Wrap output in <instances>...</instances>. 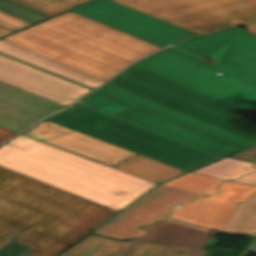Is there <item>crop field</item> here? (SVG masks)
<instances>
[{
  "mask_svg": "<svg viewBox=\"0 0 256 256\" xmlns=\"http://www.w3.org/2000/svg\"><path fill=\"white\" fill-rule=\"evenodd\" d=\"M113 168L159 183L184 171L137 155Z\"/></svg>",
  "mask_w": 256,
  "mask_h": 256,
  "instance_id": "crop-field-21",
  "label": "crop field"
},
{
  "mask_svg": "<svg viewBox=\"0 0 256 256\" xmlns=\"http://www.w3.org/2000/svg\"><path fill=\"white\" fill-rule=\"evenodd\" d=\"M200 195L203 194L158 185L94 232L116 239L144 235L146 231L138 230L137 226L162 220L166 214L170 213L169 207L173 204L189 201Z\"/></svg>",
  "mask_w": 256,
  "mask_h": 256,
  "instance_id": "crop-field-11",
  "label": "crop field"
},
{
  "mask_svg": "<svg viewBox=\"0 0 256 256\" xmlns=\"http://www.w3.org/2000/svg\"><path fill=\"white\" fill-rule=\"evenodd\" d=\"M222 180L223 179L189 172L181 177L167 181L163 183V185L210 195L216 192L215 188L221 184Z\"/></svg>",
  "mask_w": 256,
  "mask_h": 256,
  "instance_id": "crop-field-24",
  "label": "crop field"
},
{
  "mask_svg": "<svg viewBox=\"0 0 256 256\" xmlns=\"http://www.w3.org/2000/svg\"><path fill=\"white\" fill-rule=\"evenodd\" d=\"M208 248L115 241L91 234L60 256H204Z\"/></svg>",
  "mask_w": 256,
  "mask_h": 256,
  "instance_id": "crop-field-15",
  "label": "crop field"
},
{
  "mask_svg": "<svg viewBox=\"0 0 256 256\" xmlns=\"http://www.w3.org/2000/svg\"><path fill=\"white\" fill-rule=\"evenodd\" d=\"M0 106L13 110L15 112L30 116L32 118L40 120L44 116L48 115L46 113L40 112L38 110H35L33 108L27 107L25 105H22L20 103L14 102L12 100H9L7 98L0 96Z\"/></svg>",
  "mask_w": 256,
  "mask_h": 256,
  "instance_id": "crop-field-28",
  "label": "crop field"
},
{
  "mask_svg": "<svg viewBox=\"0 0 256 256\" xmlns=\"http://www.w3.org/2000/svg\"><path fill=\"white\" fill-rule=\"evenodd\" d=\"M0 81L64 106L91 89L0 55Z\"/></svg>",
  "mask_w": 256,
  "mask_h": 256,
  "instance_id": "crop-field-13",
  "label": "crop field"
},
{
  "mask_svg": "<svg viewBox=\"0 0 256 256\" xmlns=\"http://www.w3.org/2000/svg\"><path fill=\"white\" fill-rule=\"evenodd\" d=\"M21 134L99 161L111 167L137 155L46 120Z\"/></svg>",
  "mask_w": 256,
  "mask_h": 256,
  "instance_id": "crop-field-14",
  "label": "crop field"
},
{
  "mask_svg": "<svg viewBox=\"0 0 256 256\" xmlns=\"http://www.w3.org/2000/svg\"><path fill=\"white\" fill-rule=\"evenodd\" d=\"M139 228L149 230V234L142 238H129L127 240L205 247L211 236L208 229L169 218L163 222H155L152 225Z\"/></svg>",
  "mask_w": 256,
  "mask_h": 256,
  "instance_id": "crop-field-17",
  "label": "crop field"
},
{
  "mask_svg": "<svg viewBox=\"0 0 256 256\" xmlns=\"http://www.w3.org/2000/svg\"><path fill=\"white\" fill-rule=\"evenodd\" d=\"M230 156L256 162V144Z\"/></svg>",
  "mask_w": 256,
  "mask_h": 256,
  "instance_id": "crop-field-31",
  "label": "crop field"
},
{
  "mask_svg": "<svg viewBox=\"0 0 256 256\" xmlns=\"http://www.w3.org/2000/svg\"><path fill=\"white\" fill-rule=\"evenodd\" d=\"M196 34L256 19V0H113Z\"/></svg>",
  "mask_w": 256,
  "mask_h": 256,
  "instance_id": "crop-field-5",
  "label": "crop field"
},
{
  "mask_svg": "<svg viewBox=\"0 0 256 256\" xmlns=\"http://www.w3.org/2000/svg\"><path fill=\"white\" fill-rule=\"evenodd\" d=\"M172 46L213 62L204 63L173 47L165 49L256 85V36L244 29L235 27L183 40Z\"/></svg>",
  "mask_w": 256,
  "mask_h": 256,
  "instance_id": "crop-field-7",
  "label": "crop field"
},
{
  "mask_svg": "<svg viewBox=\"0 0 256 256\" xmlns=\"http://www.w3.org/2000/svg\"><path fill=\"white\" fill-rule=\"evenodd\" d=\"M98 91L115 96L117 98L123 99L128 102H131L135 105L151 110L153 112H156L168 118L174 119L176 121H179L191 127L197 128L199 130H202L204 132H207L209 134H212L214 136L227 140L236 145L247 147L252 144H255L250 140H247L245 138H242L240 136L227 132L223 129H220L218 127H215L213 125L200 121L198 119H195L183 113H180L176 110H173L171 108H168L166 106H163L151 100H148L146 98L133 94L129 91H126L124 89L111 85L109 83H107L103 88L99 89Z\"/></svg>",
  "mask_w": 256,
  "mask_h": 256,
  "instance_id": "crop-field-16",
  "label": "crop field"
},
{
  "mask_svg": "<svg viewBox=\"0 0 256 256\" xmlns=\"http://www.w3.org/2000/svg\"><path fill=\"white\" fill-rule=\"evenodd\" d=\"M0 95L25 104L27 106L33 107L40 111L46 112L48 114L64 108V106L62 105L41 98L39 96H36L3 82H0Z\"/></svg>",
  "mask_w": 256,
  "mask_h": 256,
  "instance_id": "crop-field-23",
  "label": "crop field"
},
{
  "mask_svg": "<svg viewBox=\"0 0 256 256\" xmlns=\"http://www.w3.org/2000/svg\"><path fill=\"white\" fill-rule=\"evenodd\" d=\"M70 11L160 47L196 35L110 0H97Z\"/></svg>",
  "mask_w": 256,
  "mask_h": 256,
  "instance_id": "crop-field-9",
  "label": "crop field"
},
{
  "mask_svg": "<svg viewBox=\"0 0 256 256\" xmlns=\"http://www.w3.org/2000/svg\"><path fill=\"white\" fill-rule=\"evenodd\" d=\"M46 120L184 171L217 159L77 104Z\"/></svg>",
  "mask_w": 256,
  "mask_h": 256,
  "instance_id": "crop-field-4",
  "label": "crop field"
},
{
  "mask_svg": "<svg viewBox=\"0 0 256 256\" xmlns=\"http://www.w3.org/2000/svg\"><path fill=\"white\" fill-rule=\"evenodd\" d=\"M3 40L103 81L160 48L70 11Z\"/></svg>",
  "mask_w": 256,
  "mask_h": 256,
  "instance_id": "crop-field-2",
  "label": "crop field"
},
{
  "mask_svg": "<svg viewBox=\"0 0 256 256\" xmlns=\"http://www.w3.org/2000/svg\"><path fill=\"white\" fill-rule=\"evenodd\" d=\"M31 249L32 248L11 241L0 249V256H23Z\"/></svg>",
  "mask_w": 256,
  "mask_h": 256,
  "instance_id": "crop-field-29",
  "label": "crop field"
},
{
  "mask_svg": "<svg viewBox=\"0 0 256 256\" xmlns=\"http://www.w3.org/2000/svg\"><path fill=\"white\" fill-rule=\"evenodd\" d=\"M0 166V235L53 256L116 214Z\"/></svg>",
  "mask_w": 256,
  "mask_h": 256,
  "instance_id": "crop-field-1",
  "label": "crop field"
},
{
  "mask_svg": "<svg viewBox=\"0 0 256 256\" xmlns=\"http://www.w3.org/2000/svg\"><path fill=\"white\" fill-rule=\"evenodd\" d=\"M24 256H51V255H48V254H45L43 252H40V251H37V250L33 249Z\"/></svg>",
  "mask_w": 256,
  "mask_h": 256,
  "instance_id": "crop-field-33",
  "label": "crop field"
},
{
  "mask_svg": "<svg viewBox=\"0 0 256 256\" xmlns=\"http://www.w3.org/2000/svg\"><path fill=\"white\" fill-rule=\"evenodd\" d=\"M134 65L250 113L256 111V86L224 73L219 76L215 74L219 71L165 49Z\"/></svg>",
  "mask_w": 256,
  "mask_h": 256,
  "instance_id": "crop-field-6",
  "label": "crop field"
},
{
  "mask_svg": "<svg viewBox=\"0 0 256 256\" xmlns=\"http://www.w3.org/2000/svg\"><path fill=\"white\" fill-rule=\"evenodd\" d=\"M0 165L118 211L156 184L23 135L0 148Z\"/></svg>",
  "mask_w": 256,
  "mask_h": 256,
  "instance_id": "crop-field-3",
  "label": "crop field"
},
{
  "mask_svg": "<svg viewBox=\"0 0 256 256\" xmlns=\"http://www.w3.org/2000/svg\"><path fill=\"white\" fill-rule=\"evenodd\" d=\"M0 10L8 14L14 15L31 23L48 18L34 10L17 4L11 0H0Z\"/></svg>",
  "mask_w": 256,
  "mask_h": 256,
  "instance_id": "crop-field-26",
  "label": "crop field"
},
{
  "mask_svg": "<svg viewBox=\"0 0 256 256\" xmlns=\"http://www.w3.org/2000/svg\"><path fill=\"white\" fill-rule=\"evenodd\" d=\"M30 23L16 18L14 16L8 15L0 11V25L4 26L12 31L29 25Z\"/></svg>",
  "mask_w": 256,
  "mask_h": 256,
  "instance_id": "crop-field-30",
  "label": "crop field"
},
{
  "mask_svg": "<svg viewBox=\"0 0 256 256\" xmlns=\"http://www.w3.org/2000/svg\"><path fill=\"white\" fill-rule=\"evenodd\" d=\"M250 252H256V246Z\"/></svg>",
  "mask_w": 256,
  "mask_h": 256,
  "instance_id": "crop-field-37",
  "label": "crop field"
},
{
  "mask_svg": "<svg viewBox=\"0 0 256 256\" xmlns=\"http://www.w3.org/2000/svg\"><path fill=\"white\" fill-rule=\"evenodd\" d=\"M242 26L246 27L248 31H250L256 35V22L242 25ZM238 27H241V26H238Z\"/></svg>",
  "mask_w": 256,
  "mask_h": 256,
  "instance_id": "crop-field-34",
  "label": "crop field"
},
{
  "mask_svg": "<svg viewBox=\"0 0 256 256\" xmlns=\"http://www.w3.org/2000/svg\"><path fill=\"white\" fill-rule=\"evenodd\" d=\"M10 240L6 239V238H3L0 236V248L2 246H4L5 244H7Z\"/></svg>",
  "mask_w": 256,
  "mask_h": 256,
  "instance_id": "crop-field-36",
  "label": "crop field"
},
{
  "mask_svg": "<svg viewBox=\"0 0 256 256\" xmlns=\"http://www.w3.org/2000/svg\"><path fill=\"white\" fill-rule=\"evenodd\" d=\"M0 52L95 89L103 81L0 40Z\"/></svg>",
  "mask_w": 256,
  "mask_h": 256,
  "instance_id": "crop-field-18",
  "label": "crop field"
},
{
  "mask_svg": "<svg viewBox=\"0 0 256 256\" xmlns=\"http://www.w3.org/2000/svg\"><path fill=\"white\" fill-rule=\"evenodd\" d=\"M49 17L88 0H13Z\"/></svg>",
  "mask_w": 256,
  "mask_h": 256,
  "instance_id": "crop-field-25",
  "label": "crop field"
},
{
  "mask_svg": "<svg viewBox=\"0 0 256 256\" xmlns=\"http://www.w3.org/2000/svg\"><path fill=\"white\" fill-rule=\"evenodd\" d=\"M219 193L209 197H199L191 203H181L179 209L173 207L169 217L222 231L238 202H243L256 192V187L226 181L218 187ZM177 206V205H176Z\"/></svg>",
  "mask_w": 256,
  "mask_h": 256,
  "instance_id": "crop-field-12",
  "label": "crop field"
},
{
  "mask_svg": "<svg viewBox=\"0 0 256 256\" xmlns=\"http://www.w3.org/2000/svg\"><path fill=\"white\" fill-rule=\"evenodd\" d=\"M37 121L38 120L32 119L30 117H27V116H24L0 107V126L1 127L18 132Z\"/></svg>",
  "mask_w": 256,
  "mask_h": 256,
  "instance_id": "crop-field-27",
  "label": "crop field"
},
{
  "mask_svg": "<svg viewBox=\"0 0 256 256\" xmlns=\"http://www.w3.org/2000/svg\"><path fill=\"white\" fill-rule=\"evenodd\" d=\"M223 232L234 234L256 233V194L238 203Z\"/></svg>",
  "mask_w": 256,
  "mask_h": 256,
  "instance_id": "crop-field-22",
  "label": "crop field"
},
{
  "mask_svg": "<svg viewBox=\"0 0 256 256\" xmlns=\"http://www.w3.org/2000/svg\"><path fill=\"white\" fill-rule=\"evenodd\" d=\"M109 83L114 84L116 86H119L121 88H124L126 90H129V91H131L133 93H136L138 95H141V96L146 97L148 99H151L153 101H156L158 103H161L163 105H166L168 107H171L173 109H176V110H178L180 112H183L185 114H188L190 116H193L195 118L203 120V121L208 122L210 124H213L215 126H218L220 128H223V129H225L227 131H230L232 133H235V134L240 135L242 137H245L247 139L256 141V135H254V134H251V133H249L247 131L239 129V128H237L235 126H232L230 124H227V123H225L223 121H220V120H218L216 118H213V117L208 116V115H206L204 113L196 111V110H194L192 108H189V107H187L185 105H182V104L177 103V102H175L173 100L165 98V97H163L161 95L153 93V92H151L149 90H146V89H144L142 87L134 85V84H132L130 82H127L125 80H122V79H120L118 77L114 78Z\"/></svg>",
  "mask_w": 256,
  "mask_h": 256,
  "instance_id": "crop-field-19",
  "label": "crop field"
},
{
  "mask_svg": "<svg viewBox=\"0 0 256 256\" xmlns=\"http://www.w3.org/2000/svg\"><path fill=\"white\" fill-rule=\"evenodd\" d=\"M11 32L10 30L0 26V37Z\"/></svg>",
  "mask_w": 256,
  "mask_h": 256,
  "instance_id": "crop-field-35",
  "label": "crop field"
},
{
  "mask_svg": "<svg viewBox=\"0 0 256 256\" xmlns=\"http://www.w3.org/2000/svg\"><path fill=\"white\" fill-rule=\"evenodd\" d=\"M77 104L220 158L242 147L207 136L112 97L93 93Z\"/></svg>",
  "mask_w": 256,
  "mask_h": 256,
  "instance_id": "crop-field-8",
  "label": "crop field"
},
{
  "mask_svg": "<svg viewBox=\"0 0 256 256\" xmlns=\"http://www.w3.org/2000/svg\"><path fill=\"white\" fill-rule=\"evenodd\" d=\"M253 164L255 163L225 157L192 172L224 179H236L243 174L256 171L255 168L251 167ZM254 167H256V165ZM234 181L256 185V172L244 175L240 179Z\"/></svg>",
  "mask_w": 256,
  "mask_h": 256,
  "instance_id": "crop-field-20",
  "label": "crop field"
},
{
  "mask_svg": "<svg viewBox=\"0 0 256 256\" xmlns=\"http://www.w3.org/2000/svg\"><path fill=\"white\" fill-rule=\"evenodd\" d=\"M118 77L256 134V116L134 65Z\"/></svg>",
  "mask_w": 256,
  "mask_h": 256,
  "instance_id": "crop-field-10",
  "label": "crop field"
},
{
  "mask_svg": "<svg viewBox=\"0 0 256 256\" xmlns=\"http://www.w3.org/2000/svg\"><path fill=\"white\" fill-rule=\"evenodd\" d=\"M16 132L4 129L0 127V142L4 141L5 139H7L8 137L12 136L13 134H15Z\"/></svg>",
  "mask_w": 256,
  "mask_h": 256,
  "instance_id": "crop-field-32",
  "label": "crop field"
}]
</instances>
